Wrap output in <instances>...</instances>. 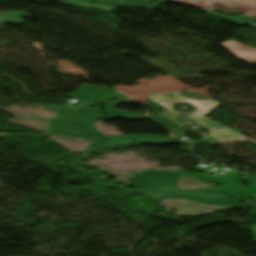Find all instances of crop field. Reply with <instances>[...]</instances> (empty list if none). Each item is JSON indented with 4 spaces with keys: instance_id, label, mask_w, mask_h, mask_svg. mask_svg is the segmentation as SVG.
Here are the masks:
<instances>
[{
    "instance_id": "obj_1",
    "label": "crop field",
    "mask_w": 256,
    "mask_h": 256,
    "mask_svg": "<svg viewBox=\"0 0 256 256\" xmlns=\"http://www.w3.org/2000/svg\"><path fill=\"white\" fill-rule=\"evenodd\" d=\"M170 94L174 95L175 97L168 98L166 96H160V95H156V94H153L150 97H148L151 101L158 102L159 104H161L164 108H166L168 110L167 112L161 114L162 116L166 117L167 119L184 127L180 123L173 120L174 118L178 117L179 115L172 110V104L185 102V103L192 104L198 110L196 113L190 115L188 118L190 120L208 128V129H210L209 136L203 137L204 140H206L210 143H216V142H220V141L227 140V139L234 138V137L246 138V137H244V136H242V135H240V134L203 116L206 113H208L209 111L220 106L221 105L220 103H218L212 99L194 100V99H190V98H184L177 92H172Z\"/></svg>"
},
{
    "instance_id": "obj_2",
    "label": "crop field",
    "mask_w": 256,
    "mask_h": 256,
    "mask_svg": "<svg viewBox=\"0 0 256 256\" xmlns=\"http://www.w3.org/2000/svg\"><path fill=\"white\" fill-rule=\"evenodd\" d=\"M82 89H88L89 92L91 93V95L93 96L94 100L105 104L108 119L128 118V119L142 120L141 114L130 113V112L121 111V110H114V105H116V104L132 103L133 102L130 99H129L130 101H127L128 98H126L122 94H120L116 91L108 90V89L101 88V87L86 85V84H83L79 90H82ZM111 99H117L120 101L112 103V102L108 101ZM109 107H112V108H109Z\"/></svg>"
},
{
    "instance_id": "obj_3",
    "label": "crop field",
    "mask_w": 256,
    "mask_h": 256,
    "mask_svg": "<svg viewBox=\"0 0 256 256\" xmlns=\"http://www.w3.org/2000/svg\"><path fill=\"white\" fill-rule=\"evenodd\" d=\"M191 174L205 183H210V182L222 183L221 186L216 189L236 201L242 198H246V199L252 198L247 194L256 189V181H254L255 178L250 176H247L245 180L252 182V185L249 188H243L246 190L243 192H240L242 187H241L239 178H235V177L211 178V177H207V176H203L195 173H191ZM237 189H239V191H236Z\"/></svg>"
},
{
    "instance_id": "obj_4",
    "label": "crop field",
    "mask_w": 256,
    "mask_h": 256,
    "mask_svg": "<svg viewBox=\"0 0 256 256\" xmlns=\"http://www.w3.org/2000/svg\"><path fill=\"white\" fill-rule=\"evenodd\" d=\"M213 11L212 5L238 9L247 13L246 16H256V0H169Z\"/></svg>"
},
{
    "instance_id": "obj_5",
    "label": "crop field",
    "mask_w": 256,
    "mask_h": 256,
    "mask_svg": "<svg viewBox=\"0 0 256 256\" xmlns=\"http://www.w3.org/2000/svg\"><path fill=\"white\" fill-rule=\"evenodd\" d=\"M221 46L230 50L239 59L256 64V49L244 47L235 41L224 43Z\"/></svg>"
},
{
    "instance_id": "obj_6",
    "label": "crop field",
    "mask_w": 256,
    "mask_h": 256,
    "mask_svg": "<svg viewBox=\"0 0 256 256\" xmlns=\"http://www.w3.org/2000/svg\"><path fill=\"white\" fill-rule=\"evenodd\" d=\"M138 144H162V143H189L179 138H164L158 135H130L127 136Z\"/></svg>"
},
{
    "instance_id": "obj_7",
    "label": "crop field",
    "mask_w": 256,
    "mask_h": 256,
    "mask_svg": "<svg viewBox=\"0 0 256 256\" xmlns=\"http://www.w3.org/2000/svg\"><path fill=\"white\" fill-rule=\"evenodd\" d=\"M204 12L209 14V15H212V16L223 18V19L228 20L231 23L237 24L239 26H243L245 24H250V25H253V26L256 27V25L253 24V22H252V21L256 20V18H224V17H221L219 15H216V14H213V13H210V12H206V11H204Z\"/></svg>"
},
{
    "instance_id": "obj_8",
    "label": "crop field",
    "mask_w": 256,
    "mask_h": 256,
    "mask_svg": "<svg viewBox=\"0 0 256 256\" xmlns=\"http://www.w3.org/2000/svg\"><path fill=\"white\" fill-rule=\"evenodd\" d=\"M152 120H153V121H156V122H161V123H163L164 125H166V126H168L169 128H171L172 130H174V131H176V132H178V133L184 135V133L180 131V130H182V128L176 126L175 124H173V123L167 121L166 119H164V118H162V117H160V116H158V117H156V118H154V119H152Z\"/></svg>"
},
{
    "instance_id": "obj_9",
    "label": "crop field",
    "mask_w": 256,
    "mask_h": 256,
    "mask_svg": "<svg viewBox=\"0 0 256 256\" xmlns=\"http://www.w3.org/2000/svg\"><path fill=\"white\" fill-rule=\"evenodd\" d=\"M163 3H165V2L157 1V2L152 6V7H151V6H149L147 9L154 10V9H156V8L160 7Z\"/></svg>"
},
{
    "instance_id": "obj_10",
    "label": "crop field",
    "mask_w": 256,
    "mask_h": 256,
    "mask_svg": "<svg viewBox=\"0 0 256 256\" xmlns=\"http://www.w3.org/2000/svg\"><path fill=\"white\" fill-rule=\"evenodd\" d=\"M249 195L255 196L256 195V190L254 192L250 193Z\"/></svg>"
}]
</instances>
